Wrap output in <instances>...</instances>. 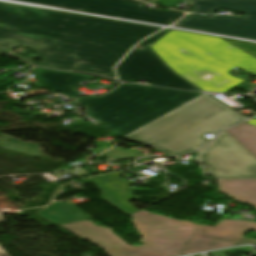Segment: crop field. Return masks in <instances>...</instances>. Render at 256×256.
<instances>
[{
    "instance_id": "obj_14",
    "label": "crop field",
    "mask_w": 256,
    "mask_h": 256,
    "mask_svg": "<svg viewBox=\"0 0 256 256\" xmlns=\"http://www.w3.org/2000/svg\"><path fill=\"white\" fill-rule=\"evenodd\" d=\"M39 214L54 224H64L92 219L76 206L62 202H53L46 210L39 212Z\"/></svg>"
},
{
    "instance_id": "obj_2",
    "label": "crop field",
    "mask_w": 256,
    "mask_h": 256,
    "mask_svg": "<svg viewBox=\"0 0 256 256\" xmlns=\"http://www.w3.org/2000/svg\"><path fill=\"white\" fill-rule=\"evenodd\" d=\"M133 226L143 237V245L132 247L112 233L110 228L91 221L60 225L63 229L100 246L110 256H175L233 245L256 242L242 238L245 230L256 232V223L222 220L215 227L170 219L140 210L132 215ZM201 237L198 239L197 237Z\"/></svg>"
},
{
    "instance_id": "obj_13",
    "label": "crop field",
    "mask_w": 256,
    "mask_h": 256,
    "mask_svg": "<svg viewBox=\"0 0 256 256\" xmlns=\"http://www.w3.org/2000/svg\"><path fill=\"white\" fill-rule=\"evenodd\" d=\"M35 76L39 80L41 86L56 90L70 98L78 96L77 91L73 90V86L82 80H92L93 78L86 75L56 72L44 69H35Z\"/></svg>"
},
{
    "instance_id": "obj_3",
    "label": "crop field",
    "mask_w": 256,
    "mask_h": 256,
    "mask_svg": "<svg viewBox=\"0 0 256 256\" xmlns=\"http://www.w3.org/2000/svg\"><path fill=\"white\" fill-rule=\"evenodd\" d=\"M150 45L179 75L203 91L224 92L242 80L236 67L256 75V58L218 37L172 30Z\"/></svg>"
},
{
    "instance_id": "obj_17",
    "label": "crop field",
    "mask_w": 256,
    "mask_h": 256,
    "mask_svg": "<svg viewBox=\"0 0 256 256\" xmlns=\"http://www.w3.org/2000/svg\"><path fill=\"white\" fill-rule=\"evenodd\" d=\"M4 221L2 215H0V222ZM0 256H9L1 247H0Z\"/></svg>"
},
{
    "instance_id": "obj_4",
    "label": "crop field",
    "mask_w": 256,
    "mask_h": 256,
    "mask_svg": "<svg viewBox=\"0 0 256 256\" xmlns=\"http://www.w3.org/2000/svg\"><path fill=\"white\" fill-rule=\"evenodd\" d=\"M162 88L121 85L102 97H82L88 115L104 122L110 134L123 137L200 96Z\"/></svg>"
},
{
    "instance_id": "obj_7",
    "label": "crop field",
    "mask_w": 256,
    "mask_h": 256,
    "mask_svg": "<svg viewBox=\"0 0 256 256\" xmlns=\"http://www.w3.org/2000/svg\"><path fill=\"white\" fill-rule=\"evenodd\" d=\"M162 30L144 40L142 50L134 48L130 54L116 67L122 80H146L150 84L161 87L200 91L178 75L174 74L147 46L169 32Z\"/></svg>"
},
{
    "instance_id": "obj_5",
    "label": "crop field",
    "mask_w": 256,
    "mask_h": 256,
    "mask_svg": "<svg viewBox=\"0 0 256 256\" xmlns=\"http://www.w3.org/2000/svg\"><path fill=\"white\" fill-rule=\"evenodd\" d=\"M193 12L215 13L216 8L244 13L242 18L189 14L180 26L256 39V0H189Z\"/></svg>"
},
{
    "instance_id": "obj_11",
    "label": "crop field",
    "mask_w": 256,
    "mask_h": 256,
    "mask_svg": "<svg viewBox=\"0 0 256 256\" xmlns=\"http://www.w3.org/2000/svg\"><path fill=\"white\" fill-rule=\"evenodd\" d=\"M45 4L126 9L123 15L176 19L184 13L145 9L146 4L135 0H27Z\"/></svg>"
},
{
    "instance_id": "obj_1",
    "label": "crop field",
    "mask_w": 256,
    "mask_h": 256,
    "mask_svg": "<svg viewBox=\"0 0 256 256\" xmlns=\"http://www.w3.org/2000/svg\"><path fill=\"white\" fill-rule=\"evenodd\" d=\"M157 30L160 28L0 3V52L41 67L114 78L112 65L137 41ZM20 45L39 54L26 57L11 51ZM36 57L44 63L33 62Z\"/></svg>"
},
{
    "instance_id": "obj_16",
    "label": "crop field",
    "mask_w": 256,
    "mask_h": 256,
    "mask_svg": "<svg viewBox=\"0 0 256 256\" xmlns=\"http://www.w3.org/2000/svg\"><path fill=\"white\" fill-rule=\"evenodd\" d=\"M225 41L233 44L234 46L240 48L241 50L249 53L250 55L256 57V44L238 42L233 40L225 39Z\"/></svg>"
},
{
    "instance_id": "obj_9",
    "label": "crop field",
    "mask_w": 256,
    "mask_h": 256,
    "mask_svg": "<svg viewBox=\"0 0 256 256\" xmlns=\"http://www.w3.org/2000/svg\"><path fill=\"white\" fill-rule=\"evenodd\" d=\"M245 119L234 111L225 108L153 148L164 151L170 156L182 155L193 149L199 150L211 140L204 137L206 134L215 135L220 130Z\"/></svg>"
},
{
    "instance_id": "obj_8",
    "label": "crop field",
    "mask_w": 256,
    "mask_h": 256,
    "mask_svg": "<svg viewBox=\"0 0 256 256\" xmlns=\"http://www.w3.org/2000/svg\"><path fill=\"white\" fill-rule=\"evenodd\" d=\"M200 162L214 179L256 178V159L225 131L204 149Z\"/></svg>"
},
{
    "instance_id": "obj_10",
    "label": "crop field",
    "mask_w": 256,
    "mask_h": 256,
    "mask_svg": "<svg viewBox=\"0 0 256 256\" xmlns=\"http://www.w3.org/2000/svg\"><path fill=\"white\" fill-rule=\"evenodd\" d=\"M240 145L256 158V127L247 123L226 130ZM220 193L256 209V179L216 180Z\"/></svg>"
},
{
    "instance_id": "obj_6",
    "label": "crop field",
    "mask_w": 256,
    "mask_h": 256,
    "mask_svg": "<svg viewBox=\"0 0 256 256\" xmlns=\"http://www.w3.org/2000/svg\"><path fill=\"white\" fill-rule=\"evenodd\" d=\"M225 107L204 94L124 138L152 147Z\"/></svg>"
},
{
    "instance_id": "obj_12",
    "label": "crop field",
    "mask_w": 256,
    "mask_h": 256,
    "mask_svg": "<svg viewBox=\"0 0 256 256\" xmlns=\"http://www.w3.org/2000/svg\"><path fill=\"white\" fill-rule=\"evenodd\" d=\"M120 173L102 175L89 180L102 192V198L121 212L130 215L139 209L133 207L129 201L136 199L129 189L128 183L118 178Z\"/></svg>"
},
{
    "instance_id": "obj_18",
    "label": "crop field",
    "mask_w": 256,
    "mask_h": 256,
    "mask_svg": "<svg viewBox=\"0 0 256 256\" xmlns=\"http://www.w3.org/2000/svg\"><path fill=\"white\" fill-rule=\"evenodd\" d=\"M248 123H250V124L256 126V120H254V119H251L250 121H248Z\"/></svg>"
},
{
    "instance_id": "obj_15",
    "label": "crop field",
    "mask_w": 256,
    "mask_h": 256,
    "mask_svg": "<svg viewBox=\"0 0 256 256\" xmlns=\"http://www.w3.org/2000/svg\"><path fill=\"white\" fill-rule=\"evenodd\" d=\"M69 8H77V9H84L88 12H95V13H101V14H108V15H115V16H121L124 10H118V9H104V8H88V7H72V6H65ZM121 17H127V18H133V19H139V20H145V21H151V22H157V23H163V24H169L173 22L174 20L169 19H155V18H142V17H128V16H121Z\"/></svg>"
}]
</instances>
